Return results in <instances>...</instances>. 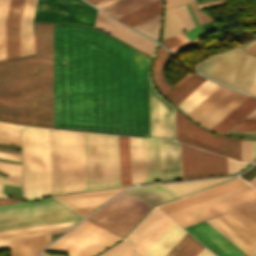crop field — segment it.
<instances>
[{"label":"crop field","mask_w":256,"mask_h":256,"mask_svg":"<svg viewBox=\"0 0 256 256\" xmlns=\"http://www.w3.org/2000/svg\"><path fill=\"white\" fill-rule=\"evenodd\" d=\"M52 40L55 128L149 137L151 59L80 25L52 23ZM52 40L35 23V59L0 61L1 121L54 128Z\"/></svg>","instance_id":"obj_1"},{"label":"crop field","mask_w":256,"mask_h":256,"mask_svg":"<svg viewBox=\"0 0 256 256\" xmlns=\"http://www.w3.org/2000/svg\"><path fill=\"white\" fill-rule=\"evenodd\" d=\"M256 201V191L240 178L158 207L186 227Z\"/></svg>","instance_id":"obj_2"},{"label":"crop field","mask_w":256,"mask_h":256,"mask_svg":"<svg viewBox=\"0 0 256 256\" xmlns=\"http://www.w3.org/2000/svg\"><path fill=\"white\" fill-rule=\"evenodd\" d=\"M81 215L55 199L0 206V235L75 225Z\"/></svg>","instance_id":"obj_3"},{"label":"crop field","mask_w":256,"mask_h":256,"mask_svg":"<svg viewBox=\"0 0 256 256\" xmlns=\"http://www.w3.org/2000/svg\"><path fill=\"white\" fill-rule=\"evenodd\" d=\"M26 199L50 194L47 129L21 127Z\"/></svg>","instance_id":"obj_4"},{"label":"crop field","mask_w":256,"mask_h":256,"mask_svg":"<svg viewBox=\"0 0 256 256\" xmlns=\"http://www.w3.org/2000/svg\"><path fill=\"white\" fill-rule=\"evenodd\" d=\"M87 189L120 185L118 136L83 133Z\"/></svg>","instance_id":"obj_5"},{"label":"crop field","mask_w":256,"mask_h":256,"mask_svg":"<svg viewBox=\"0 0 256 256\" xmlns=\"http://www.w3.org/2000/svg\"><path fill=\"white\" fill-rule=\"evenodd\" d=\"M196 69L230 87L249 93L256 74V57L244 53L238 47L200 62Z\"/></svg>","instance_id":"obj_6"},{"label":"crop field","mask_w":256,"mask_h":256,"mask_svg":"<svg viewBox=\"0 0 256 256\" xmlns=\"http://www.w3.org/2000/svg\"><path fill=\"white\" fill-rule=\"evenodd\" d=\"M150 209L151 207L123 193L88 219L124 237Z\"/></svg>","instance_id":"obj_7"},{"label":"crop field","mask_w":256,"mask_h":256,"mask_svg":"<svg viewBox=\"0 0 256 256\" xmlns=\"http://www.w3.org/2000/svg\"><path fill=\"white\" fill-rule=\"evenodd\" d=\"M99 227L84 221L67 235L63 236L47 250L69 251ZM118 236L100 228L71 251L68 256H94L113 243L120 240Z\"/></svg>","instance_id":"obj_8"},{"label":"crop field","mask_w":256,"mask_h":256,"mask_svg":"<svg viewBox=\"0 0 256 256\" xmlns=\"http://www.w3.org/2000/svg\"><path fill=\"white\" fill-rule=\"evenodd\" d=\"M176 139L223 156L241 160L240 140L219 137L193 125L175 110ZM179 141V142H180ZM194 146V147H195Z\"/></svg>","instance_id":"obj_9"},{"label":"crop field","mask_w":256,"mask_h":256,"mask_svg":"<svg viewBox=\"0 0 256 256\" xmlns=\"http://www.w3.org/2000/svg\"><path fill=\"white\" fill-rule=\"evenodd\" d=\"M64 192L86 189L82 133L61 130Z\"/></svg>","instance_id":"obj_10"},{"label":"crop field","mask_w":256,"mask_h":256,"mask_svg":"<svg viewBox=\"0 0 256 256\" xmlns=\"http://www.w3.org/2000/svg\"><path fill=\"white\" fill-rule=\"evenodd\" d=\"M96 9L82 0H38L34 20L77 22L93 26Z\"/></svg>","instance_id":"obj_11"},{"label":"crop field","mask_w":256,"mask_h":256,"mask_svg":"<svg viewBox=\"0 0 256 256\" xmlns=\"http://www.w3.org/2000/svg\"><path fill=\"white\" fill-rule=\"evenodd\" d=\"M247 97L221 86L188 115L211 129Z\"/></svg>","instance_id":"obj_12"},{"label":"crop field","mask_w":256,"mask_h":256,"mask_svg":"<svg viewBox=\"0 0 256 256\" xmlns=\"http://www.w3.org/2000/svg\"><path fill=\"white\" fill-rule=\"evenodd\" d=\"M183 178L227 173V158L181 144Z\"/></svg>","instance_id":"obj_13"},{"label":"crop field","mask_w":256,"mask_h":256,"mask_svg":"<svg viewBox=\"0 0 256 256\" xmlns=\"http://www.w3.org/2000/svg\"><path fill=\"white\" fill-rule=\"evenodd\" d=\"M150 137L174 140L173 108L163 101L149 82Z\"/></svg>","instance_id":"obj_14"},{"label":"crop field","mask_w":256,"mask_h":256,"mask_svg":"<svg viewBox=\"0 0 256 256\" xmlns=\"http://www.w3.org/2000/svg\"><path fill=\"white\" fill-rule=\"evenodd\" d=\"M184 230L218 256H248L205 221Z\"/></svg>","instance_id":"obj_15"},{"label":"crop field","mask_w":256,"mask_h":256,"mask_svg":"<svg viewBox=\"0 0 256 256\" xmlns=\"http://www.w3.org/2000/svg\"><path fill=\"white\" fill-rule=\"evenodd\" d=\"M126 188L128 187L56 195L54 197L86 217L111 197L115 196Z\"/></svg>","instance_id":"obj_16"},{"label":"crop field","mask_w":256,"mask_h":256,"mask_svg":"<svg viewBox=\"0 0 256 256\" xmlns=\"http://www.w3.org/2000/svg\"><path fill=\"white\" fill-rule=\"evenodd\" d=\"M95 27L120 38L121 40L135 47L136 49L144 52L149 56H152L155 45L154 42L126 29L122 25L111 20L100 12H98L97 14Z\"/></svg>","instance_id":"obj_17"},{"label":"crop field","mask_w":256,"mask_h":256,"mask_svg":"<svg viewBox=\"0 0 256 256\" xmlns=\"http://www.w3.org/2000/svg\"><path fill=\"white\" fill-rule=\"evenodd\" d=\"M211 226L227 237L249 255L256 238L225 214L206 220Z\"/></svg>","instance_id":"obj_18"},{"label":"crop field","mask_w":256,"mask_h":256,"mask_svg":"<svg viewBox=\"0 0 256 256\" xmlns=\"http://www.w3.org/2000/svg\"><path fill=\"white\" fill-rule=\"evenodd\" d=\"M24 0H11L6 21V59L20 56L19 22Z\"/></svg>","instance_id":"obj_19"},{"label":"crop field","mask_w":256,"mask_h":256,"mask_svg":"<svg viewBox=\"0 0 256 256\" xmlns=\"http://www.w3.org/2000/svg\"><path fill=\"white\" fill-rule=\"evenodd\" d=\"M51 194L63 192L60 130L48 129Z\"/></svg>","instance_id":"obj_20"},{"label":"crop field","mask_w":256,"mask_h":256,"mask_svg":"<svg viewBox=\"0 0 256 256\" xmlns=\"http://www.w3.org/2000/svg\"><path fill=\"white\" fill-rule=\"evenodd\" d=\"M162 180L182 178L180 144L160 140Z\"/></svg>","instance_id":"obj_21"},{"label":"crop field","mask_w":256,"mask_h":256,"mask_svg":"<svg viewBox=\"0 0 256 256\" xmlns=\"http://www.w3.org/2000/svg\"><path fill=\"white\" fill-rule=\"evenodd\" d=\"M144 182L161 180L159 140L142 138Z\"/></svg>","instance_id":"obj_22"},{"label":"crop field","mask_w":256,"mask_h":256,"mask_svg":"<svg viewBox=\"0 0 256 256\" xmlns=\"http://www.w3.org/2000/svg\"><path fill=\"white\" fill-rule=\"evenodd\" d=\"M186 233L172 222L142 256H165Z\"/></svg>","instance_id":"obj_23"},{"label":"crop field","mask_w":256,"mask_h":256,"mask_svg":"<svg viewBox=\"0 0 256 256\" xmlns=\"http://www.w3.org/2000/svg\"><path fill=\"white\" fill-rule=\"evenodd\" d=\"M37 0H25L20 22L21 56L33 54V18Z\"/></svg>","instance_id":"obj_24"},{"label":"crop field","mask_w":256,"mask_h":256,"mask_svg":"<svg viewBox=\"0 0 256 256\" xmlns=\"http://www.w3.org/2000/svg\"><path fill=\"white\" fill-rule=\"evenodd\" d=\"M125 193L150 206L180 196L161 185L135 188Z\"/></svg>","instance_id":"obj_25"},{"label":"crop field","mask_w":256,"mask_h":256,"mask_svg":"<svg viewBox=\"0 0 256 256\" xmlns=\"http://www.w3.org/2000/svg\"><path fill=\"white\" fill-rule=\"evenodd\" d=\"M254 108H256V98L249 96L223 120H221L215 127H213L212 130L221 134H225Z\"/></svg>","instance_id":"obj_26"},{"label":"crop field","mask_w":256,"mask_h":256,"mask_svg":"<svg viewBox=\"0 0 256 256\" xmlns=\"http://www.w3.org/2000/svg\"><path fill=\"white\" fill-rule=\"evenodd\" d=\"M205 81L195 74H188L164 95L177 105Z\"/></svg>","instance_id":"obj_27"},{"label":"crop field","mask_w":256,"mask_h":256,"mask_svg":"<svg viewBox=\"0 0 256 256\" xmlns=\"http://www.w3.org/2000/svg\"><path fill=\"white\" fill-rule=\"evenodd\" d=\"M42 235L9 240L10 256H36L41 250Z\"/></svg>","instance_id":"obj_28"},{"label":"crop field","mask_w":256,"mask_h":256,"mask_svg":"<svg viewBox=\"0 0 256 256\" xmlns=\"http://www.w3.org/2000/svg\"><path fill=\"white\" fill-rule=\"evenodd\" d=\"M219 87L220 85L207 80L177 106L188 114Z\"/></svg>","instance_id":"obj_29"},{"label":"crop field","mask_w":256,"mask_h":256,"mask_svg":"<svg viewBox=\"0 0 256 256\" xmlns=\"http://www.w3.org/2000/svg\"><path fill=\"white\" fill-rule=\"evenodd\" d=\"M170 57L171 55L160 47L153 66V76L155 83L162 94H164L172 87V85L165 78V68L169 62Z\"/></svg>","instance_id":"obj_30"},{"label":"crop field","mask_w":256,"mask_h":256,"mask_svg":"<svg viewBox=\"0 0 256 256\" xmlns=\"http://www.w3.org/2000/svg\"><path fill=\"white\" fill-rule=\"evenodd\" d=\"M163 216L157 209H154L127 237V240L135 247Z\"/></svg>","instance_id":"obj_31"},{"label":"crop field","mask_w":256,"mask_h":256,"mask_svg":"<svg viewBox=\"0 0 256 256\" xmlns=\"http://www.w3.org/2000/svg\"><path fill=\"white\" fill-rule=\"evenodd\" d=\"M132 184L143 182L141 139L130 137Z\"/></svg>","instance_id":"obj_32"},{"label":"crop field","mask_w":256,"mask_h":256,"mask_svg":"<svg viewBox=\"0 0 256 256\" xmlns=\"http://www.w3.org/2000/svg\"><path fill=\"white\" fill-rule=\"evenodd\" d=\"M121 185L131 184L129 137L119 136Z\"/></svg>","instance_id":"obj_33"},{"label":"crop field","mask_w":256,"mask_h":256,"mask_svg":"<svg viewBox=\"0 0 256 256\" xmlns=\"http://www.w3.org/2000/svg\"><path fill=\"white\" fill-rule=\"evenodd\" d=\"M229 178H231V177H229ZM229 178L164 184V186L184 195V194H187V193L196 191L198 189L213 185L215 183L221 182V181L229 179Z\"/></svg>","instance_id":"obj_34"},{"label":"crop field","mask_w":256,"mask_h":256,"mask_svg":"<svg viewBox=\"0 0 256 256\" xmlns=\"http://www.w3.org/2000/svg\"><path fill=\"white\" fill-rule=\"evenodd\" d=\"M167 217V216H166ZM165 216L158 224L143 238V240L135 247L142 255L146 249L156 240V238L167 228L172 222Z\"/></svg>","instance_id":"obj_35"},{"label":"crop field","mask_w":256,"mask_h":256,"mask_svg":"<svg viewBox=\"0 0 256 256\" xmlns=\"http://www.w3.org/2000/svg\"><path fill=\"white\" fill-rule=\"evenodd\" d=\"M160 22H161V13L132 28L158 40Z\"/></svg>","instance_id":"obj_36"},{"label":"crop field","mask_w":256,"mask_h":256,"mask_svg":"<svg viewBox=\"0 0 256 256\" xmlns=\"http://www.w3.org/2000/svg\"><path fill=\"white\" fill-rule=\"evenodd\" d=\"M185 31L184 27L175 18L169 9L165 10V23L162 40Z\"/></svg>","instance_id":"obj_37"},{"label":"crop field","mask_w":256,"mask_h":256,"mask_svg":"<svg viewBox=\"0 0 256 256\" xmlns=\"http://www.w3.org/2000/svg\"><path fill=\"white\" fill-rule=\"evenodd\" d=\"M161 7H162V0H156V1L148 4L140 9L118 19V20L127 25V24L161 8Z\"/></svg>","instance_id":"obj_38"},{"label":"crop field","mask_w":256,"mask_h":256,"mask_svg":"<svg viewBox=\"0 0 256 256\" xmlns=\"http://www.w3.org/2000/svg\"><path fill=\"white\" fill-rule=\"evenodd\" d=\"M10 0H0V60L5 59V21Z\"/></svg>","instance_id":"obj_39"},{"label":"crop field","mask_w":256,"mask_h":256,"mask_svg":"<svg viewBox=\"0 0 256 256\" xmlns=\"http://www.w3.org/2000/svg\"><path fill=\"white\" fill-rule=\"evenodd\" d=\"M99 256H138L129 243L124 240Z\"/></svg>","instance_id":"obj_40"},{"label":"crop field","mask_w":256,"mask_h":256,"mask_svg":"<svg viewBox=\"0 0 256 256\" xmlns=\"http://www.w3.org/2000/svg\"><path fill=\"white\" fill-rule=\"evenodd\" d=\"M152 1H154V0H134L118 9L108 13V15L118 19V18L152 2Z\"/></svg>","instance_id":"obj_41"},{"label":"crop field","mask_w":256,"mask_h":256,"mask_svg":"<svg viewBox=\"0 0 256 256\" xmlns=\"http://www.w3.org/2000/svg\"><path fill=\"white\" fill-rule=\"evenodd\" d=\"M238 211L235 210L226 213V215H228L230 218H232L234 221H236L238 224H240L243 228H245L247 231H249L256 237V225Z\"/></svg>","instance_id":"obj_42"},{"label":"crop field","mask_w":256,"mask_h":256,"mask_svg":"<svg viewBox=\"0 0 256 256\" xmlns=\"http://www.w3.org/2000/svg\"><path fill=\"white\" fill-rule=\"evenodd\" d=\"M0 170L9 174L8 178H11L21 183V165L14 163L0 162Z\"/></svg>","instance_id":"obj_43"},{"label":"crop field","mask_w":256,"mask_h":256,"mask_svg":"<svg viewBox=\"0 0 256 256\" xmlns=\"http://www.w3.org/2000/svg\"><path fill=\"white\" fill-rule=\"evenodd\" d=\"M71 227H73V226L62 227V228H53V229H45V230H37V231H30V232H22V233L10 234V235H4V236H0V240L16 238V237H22V236H29V235H38V234L62 232V231L69 230Z\"/></svg>","instance_id":"obj_44"},{"label":"crop field","mask_w":256,"mask_h":256,"mask_svg":"<svg viewBox=\"0 0 256 256\" xmlns=\"http://www.w3.org/2000/svg\"><path fill=\"white\" fill-rule=\"evenodd\" d=\"M0 143L20 145L19 131L0 128Z\"/></svg>","instance_id":"obj_45"},{"label":"crop field","mask_w":256,"mask_h":256,"mask_svg":"<svg viewBox=\"0 0 256 256\" xmlns=\"http://www.w3.org/2000/svg\"><path fill=\"white\" fill-rule=\"evenodd\" d=\"M203 247V245L193 238L177 256H196Z\"/></svg>","instance_id":"obj_46"},{"label":"crop field","mask_w":256,"mask_h":256,"mask_svg":"<svg viewBox=\"0 0 256 256\" xmlns=\"http://www.w3.org/2000/svg\"><path fill=\"white\" fill-rule=\"evenodd\" d=\"M242 161H252V141L241 140Z\"/></svg>","instance_id":"obj_47"},{"label":"crop field","mask_w":256,"mask_h":256,"mask_svg":"<svg viewBox=\"0 0 256 256\" xmlns=\"http://www.w3.org/2000/svg\"><path fill=\"white\" fill-rule=\"evenodd\" d=\"M232 130H250L256 131V119H243Z\"/></svg>","instance_id":"obj_48"},{"label":"crop field","mask_w":256,"mask_h":256,"mask_svg":"<svg viewBox=\"0 0 256 256\" xmlns=\"http://www.w3.org/2000/svg\"><path fill=\"white\" fill-rule=\"evenodd\" d=\"M192 238L193 237L187 233L166 256H176Z\"/></svg>","instance_id":"obj_49"},{"label":"crop field","mask_w":256,"mask_h":256,"mask_svg":"<svg viewBox=\"0 0 256 256\" xmlns=\"http://www.w3.org/2000/svg\"><path fill=\"white\" fill-rule=\"evenodd\" d=\"M238 210L256 224V203Z\"/></svg>","instance_id":"obj_50"},{"label":"crop field","mask_w":256,"mask_h":256,"mask_svg":"<svg viewBox=\"0 0 256 256\" xmlns=\"http://www.w3.org/2000/svg\"><path fill=\"white\" fill-rule=\"evenodd\" d=\"M244 167H246L245 163L238 162L228 158V173L236 172Z\"/></svg>","instance_id":"obj_51"},{"label":"crop field","mask_w":256,"mask_h":256,"mask_svg":"<svg viewBox=\"0 0 256 256\" xmlns=\"http://www.w3.org/2000/svg\"><path fill=\"white\" fill-rule=\"evenodd\" d=\"M191 5H192L200 23L210 21V20H214L209 15H207V14L201 12V11H198V9L196 8L194 3H192Z\"/></svg>","instance_id":"obj_52"},{"label":"crop field","mask_w":256,"mask_h":256,"mask_svg":"<svg viewBox=\"0 0 256 256\" xmlns=\"http://www.w3.org/2000/svg\"><path fill=\"white\" fill-rule=\"evenodd\" d=\"M130 1H132V0H119V1H117V2L107 6V7L103 8V9H101V10L106 12V13H108V12H110V11H112V10H114V9H116V8L126 4L128 2H130Z\"/></svg>","instance_id":"obj_53"},{"label":"crop field","mask_w":256,"mask_h":256,"mask_svg":"<svg viewBox=\"0 0 256 256\" xmlns=\"http://www.w3.org/2000/svg\"><path fill=\"white\" fill-rule=\"evenodd\" d=\"M193 1L194 0H165V3H166V8H170V7L182 5V4L193 2Z\"/></svg>","instance_id":"obj_54"},{"label":"crop field","mask_w":256,"mask_h":256,"mask_svg":"<svg viewBox=\"0 0 256 256\" xmlns=\"http://www.w3.org/2000/svg\"><path fill=\"white\" fill-rule=\"evenodd\" d=\"M172 13L176 16V18L181 22V24L185 27L186 30L190 29L185 19L183 18L181 12L178 7L171 9Z\"/></svg>","instance_id":"obj_55"},{"label":"crop field","mask_w":256,"mask_h":256,"mask_svg":"<svg viewBox=\"0 0 256 256\" xmlns=\"http://www.w3.org/2000/svg\"><path fill=\"white\" fill-rule=\"evenodd\" d=\"M180 11L182 12L183 16L185 17L187 23L189 24L190 28L194 27V23L190 17V14L185 5L179 6Z\"/></svg>","instance_id":"obj_56"},{"label":"crop field","mask_w":256,"mask_h":256,"mask_svg":"<svg viewBox=\"0 0 256 256\" xmlns=\"http://www.w3.org/2000/svg\"><path fill=\"white\" fill-rule=\"evenodd\" d=\"M161 43H163L168 49H170L182 42L174 36V37L169 38Z\"/></svg>","instance_id":"obj_57"},{"label":"crop field","mask_w":256,"mask_h":256,"mask_svg":"<svg viewBox=\"0 0 256 256\" xmlns=\"http://www.w3.org/2000/svg\"><path fill=\"white\" fill-rule=\"evenodd\" d=\"M227 135L238 137H256V132H229Z\"/></svg>","instance_id":"obj_58"},{"label":"crop field","mask_w":256,"mask_h":256,"mask_svg":"<svg viewBox=\"0 0 256 256\" xmlns=\"http://www.w3.org/2000/svg\"><path fill=\"white\" fill-rule=\"evenodd\" d=\"M0 157L20 161V155L0 152Z\"/></svg>","instance_id":"obj_59"},{"label":"crop field","mask_w":256,"mask_h":256,"mask_svg":"<svg viewBox=\"0 0 256 256\" xmlns=\"http://www.w3.org/2000/svg\"><path fill=\"white\" fill-rule=\"evenodd\" d=\"M161 10H162V9H160V10H158V11H156V12H154V13H152V14H150V15H148V16H146V17H144V18H142V19H140V20H138V21H136V22H134V23L128 25V26L132 27V26H134V25H136V24H138V23H140V22H142V21H144V20H146V19H148V18H150V17H152V16H154V15L160 13Z\"/></svg>","instance_id":"obj_60"},{"label":"crop field","mask_w":256,"mask_h":256,"mask_svg":"<svg viewBox=\"0 0 256 256\" xmlns=\"http://www.w3.org/2000/svg\"><path fill=\"white\" fill-rule=\"evenodd\" d=\"M115 1H117V0H104V1L96 4L95 6H97V7H99L101 9V8L107 6V5H109V4H111V3L115 2Z\"/></svg>","instance_id":"obj_61"},{"label":"crop field","mask_w":256,"mask_h":256,"mask_svg":"<svg viewBox=\"0 0 256 256\" xmlns=\"http://www.w3.org/2000/svg\"><path fill=\"white\" fill-rule=\"evenodd\" d=\"M197 256H215L213 255L209 250H207L205 247L199 252Z\"/></svg>","instance_id":"obj_62"},{"label":"crop field","mask_w":256,"mask_h":256,"mask_svg":"<svg viewBox=\"0 0 256 256\" xmlns=\"http://www.w3.org/2000/svg\"><path fill=\"white\" fill-rule=\"evenodd\" d=\"M0 127H6V128H11V129H17V130H19V126L10 125V124H5V123H0Z\"/></svg>","instance_id":"obj_63"},{"label":"crop field","mask_w":256,"mask_h":256,"mask_svg":"<svg viewBox=\"0 0 256 256\" xmlns=\"http://www.w3.org/2000/svg\"><path fill=\"white\" fill-rule=\"evenodd\" d=\"M245 51L249 52V53H252V54H255L256 52V43L253 44L251 47H249L248 49H246Z\"/></svg>","instance_id":"obj_64"},{"label":"crop field","mask_w":256,"mask_h":256,"mask_svg":"<svg viewBox=\"0 0 256 256\" xmlns=\"http://www.w3.org/2000/svg\"><path fill=\"white\" fill-rule=\"evenodd\" d=\"M9 248L8 240L0 241V249Z\"/></svg>","instance_id":"obj_65"},{"label":"crop field","mask_w":256,"mask_h":256,"mask_svg":"<svg viewBox=\"0 0 256 256\" xmlns=\"http://www.w3.org/2000/svg\"><path fill=\"white\" fill-rule=\"evenodd\" d=\"M15 201H20V200H17V199H3V200H0V205L15 202Z\"/></svg>","instance_id":"obj_66"},{"label":"crop field","mask_w":256,"mask_h":256,"mask_svg":"<svg viewBox=\"0 0 256 256\" xmlns=\"http://www.w3.org/2000/svg\"><path fill=\"white\" fill-rule=\"evenodd\" d=\"M0 151H5V152H11V153H17V154H20V151L11 150V149H3V148H0Z\"/></svg>","instance_id":"obj_67"},{"label":"crop field","mask_w":256,"mask_h":256,"mask_svg":"<svg viewBox=\"0 0 256 256\" xmlns=\"http://www.w3.org/2000/svg\"><path fill=\"white\" fill-rule=\"evenodd\" d=\"M256 158V141H253V160Z\"/></svg>","instance_id":"obj_68"},{"label":"crop field","mask_w":256,"mask_h":256,"mask_svg":"<svg viewBox=\"0 0 256 256\" xmlns=\"http://www.w3.org/2000/svg\"><path fill=\"white\" fill-rule=\"evenodd\" d=\"M248 183L251 184L254 188H256V176L252 178Z\"/></svg>","instance_id":"obj_69"},{"label":"crop field","mask_w":256,"mask_h":256,"mask_svg":"<svg viewBox=\"0 0 256 256\" xmlns=\"http://www.w3.org/2000/svg\"><path fill=\"white\" fill-rule=\"evenodd\" d=\"M0 183H7V184L19 185V184H17V183H15V182H13V181H9V180H1V179H0Z\"/></svg>","instance_id":"obj_70"},{"label":"crop field","mask_w":256,"mask_h":256,"mask_svg":"<svg viewBox=\"0 0 256 256\" xmlns=\"http://www.w3.org/2000/svg\"><path fill=\"white\" fill-rule=\"evenodd\" d=\"M255 42H256V40H254V41H252V42H249V43H247V44L241 46V48L244 50V49H246L247 47H249L250 45H252V44L255 43ZM250 47H251V46H250ZM247 49H248V48H247Z\"/></svg>","instance_id":"obj_71"},{"label":"crop field","mask_w":256,"mask_h":256,"mask_svg":"<svg viewBox=\"0 0 256 256\" xmlns=\"http://www.w3.org/2000/svg\"><path fill=\"white\" fill-rule=\"evenodd\" d=\"M246 118H256V109L251 112Z\"/></svg>","instance_id":"obj_72"},{"label":"crop field","mask_w":256,"mask_h":256,"mask_svg":"<svg viewBox=\"0 0 256 256\" xmlns=\"http://www.w3.org/2000/svg\"><path fill=\"white\" fill-rule=\"evenodd\" d=\"M256 88V77H255V80H254V83H253V86H252V89H251V92L250 93H254V90Z\"/></svg>","instance_id":"obj_73"},{"label":"crop field","mask_w":256,"mask_h":256,"mask_svg":"<svg viewBox=\"0 0 256 256\" xmlns=\"http://www.w3.org/2000/svg\"><path fill=\"white\" fill-rule=\"evenodd\" d=\"M90 3H92L93 5L102 1V0H88Z\"/></svg>","instance_id":"obj_74"},{"label":"crop field","mask_w":256,"mask_h":256,"mask_svg":"<svg viewBox=\"0 0 256 256\" xmlns=\"http://www.w3.org/2000/svg\"><path fill=\"white\" fill-rule=\"evenodd\" d=\"M42 256H63V255H50L43 252Z\"/></svg>","instance_id":"obj_75"},{"label":"crop field","mask_w":256,"mask_h":256,"mask_svg":"<svg viewBox=\"0 0 256 256\" xmlns=\"http://www.w3.org/2000/svg\"><path fill=\"white\" fill-rule=\"evenodd\" d=\"M1 188H2V185H0V197H7L6 195L1 193Z\"/></svg>","instance_id":"obj_76"},{"label":"crop field","mask_w":256,"mask_h":256,"mask_svg":"<svg viewBox=\"0 0 256 256\" xmlns=\"http://www.w3.org/2000/svg\"><path fill=\"white\" fill-rule=\"evenodd\" d=\"M250 256H256V248L254 249V251L252 252V254Z\"/></svg>","instance_id":"obj_77"},{"label":"crop field","mask_w":256,"mask_h":256,"mask_svg":"<svg viewBox=\"0 0 256 256\" xmlns=\"http://www.w3.org/2000/svg\"><path fill=\"white\" fill-rule=\"evenodd\" d=\"M0 178H1V179H8V178L2 177V176H0ZM9 180H10V179H9Z\"/></svg>","instance_id":"obj_78"},{"label":"crop field","mask_w":256,"mask_h":256,"mask_svg":"<svg viewBox=\"0 0 256 256\" xmlns=\"http://www.w3.org/2000/svg\"><path fill=\"white\" fill-rule=\"evenodd\" d=\"M255 95H256V90H255V93H254Z\"/></svg>","instance_id":"obj_79"}]
</instances>
